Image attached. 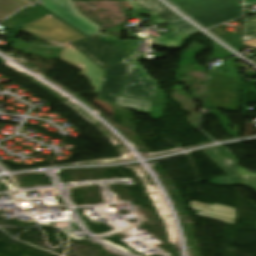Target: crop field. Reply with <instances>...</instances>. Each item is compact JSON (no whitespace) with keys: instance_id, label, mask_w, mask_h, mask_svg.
I'll return each instance as SVG.
<instances>
[{"instance_id":"1","label":"crop field","mask_w":256,"mask_h":256,"mask_svg":"<svg viewBox=\"0 0 256 256\" xmlns=\"http://www.w3.org/2000/svg\"><path fill=\"white\" fill-rule=\"evenodd\" d=\"M238 60H240L238 57L227 60L225 62V69H213H216L219 73H212L213 70L211 71L205 104L213 108L227 134L232 135L234 138L238 137L237 126L231 124L226 115H221L217 109L238 111L240 75L237 74L238 71L235 65V62ZM229 125L234 127V129L231 130Z\"/></svg>"},{"instance_id":"2","label":"crop field","mask_w":256,"mask_h":256,"mask_svg":"<svg viewBox=\"0 0 256 256\" xmlns=\"http://www.w3.org/2000/svg\"><path fill=\"white\" fill-rule=\"evenodd\" d=\"M145 55H155L156 59L165 57L162 53L137 52L118 104L127 109L148 114L151 101L123 97L127 95L152 99L156 80L149 79L148 72L137 62V60L145 59Z\"/></svg>"},{"instance_id":"3","label":"crop field","mask_w":256,"mask_h":256,"mask_svg":"<svg viewBox=\"0 0 256 256\" xmlns=\"http://www.w3.org/2000/svg\"><path fill=\"white\" fill-rule=\"evenodd\" d=\"M206 28L235 19L241 9L232 0H169Z\"/></svg>"},{"instance_id":"4","label":"crop field","mask_w":256,"mask_h":256,"mask_svg":"<svg viewBox=\"0 0 256 256\" xmlns=\"http://www.w3.org/2000/svg\"><path fill=\"white\" fill-rule=\"evenodd\" d=\"M118 40L119 39L111 33L107 32L93 36L90 39L74 43V45L85 52L102 67L107 69L116 49Z\"/></svg>"},{"instance_id":"5","label":"crop field","mask_w":256,"mask_h":256,"mask_svg":"<svg viewBox=\"0 0 256 256\" xmlns=\"http://www.w3.org/2000/svg\"><path fill=\"white\" fill-rule=\"evenodd\" d=\"M140 40L119 41L106 76L127 75Z\"/></svg>"},{"instance_id":"6","label":"crop field","mask_w":256,"mask_h":256,"mask_svg":"<svg viewBox=\"0 0 256 256\" xmlns=\"http://www.w3.org/2000/svg\"><path fill=\"white\" fill-rule=\"evenodd\" d=\"M204 152L210 156L220 167H222L227 173L237 178V161L233 159L229 154L224 152L218 146L204 150ZM231 176V177H232ZM211 184L219 186L236 185L237 180L228 176L209 180Z\"/></svg>"},{"instance_id":"7","label":"crop field","mask_w":256,"mask_h":256,"mask_svg":"<svg viewBox=\"0 0 256 256\" xmlns=\"http://www.w3.org/2000/svg\"><path fill=\"white\" fill-rule=\"evenodd\" d=\"M131 7L140 14H149L159 24L182 19L158 0H128Z\"/></svg>"},{"instance_id":"8","label":"crop field","mask_w":256,"mask_h":256,"mask_svg":"<svg viewBox=\"0 0 256 256\" xmlns=\"http://www.w3.org/2000/svg\"><path fill=\"white\" fill-rule=\"evenodd\" d=\"M190 209L198 212V216L230 223L235 225L236 209L222 205L212 204L207 205L199 202L191 201Z\"/></svg>"},{"instance_id":"9","label":"crop field","mask_w":256,"mask_h":256,"mask_svg":"<svg viewBox=\"0 0 256 256\" xmlns=\"http://www.w3.org/2000/svg\"><path fill=\"white\" fill-rule=\"evenodd\" d=\"M167 26L175 32L160 39L151 41L152 44L159 46H161L162 43L182 45L190 34L199 32V30L185 20L167 24Z\"/></svg>"},{"instance_id":"10","label":"crop field","mask_w":256,"mask_h":256,"mask_svg":"<svg viewBox=\"0 0 256 256\" xmlns=\"http://www.w3.org/2000/svg\"><path fill=\"white\" fill-rule=\"evenodd\" d=\"M125 77L104 78L98 95L107 102L118 103Z\"/></svg>"},{"instance_id":"11","label":"crop field","mask_w":256,"mask_h":256,"mask_svg":"<svg viewBox=\"0 0 256 256\" xmlns=\"http://www.w3.org/2000/svg\"><path fill=\"white\" fill-rule=\"evenodd\" d=\"M238 184L256 190V172L253 174L238 166Z\"/></svg>"},{"instance_id":"12","label":"crop field","mask_w":256,"mask_h":256,"mask_svg":"<svg viewBox=\"0 0 256 256\" xmlns=\"http://www.w3.org/2000/svg\"><path fill=\"white\" fill-rule=\"evenodd\" d=\"M256 38V16L244 18L243 41Z\"/></svg>"},{"instance_id":"13","label":"crop field","mask_w":256,"mask_h":256,"mask_svg":"<svg viewBox=\"0 0 256 256\" xmlns=\"http://www.w3.org/2000/svg\"><path fill=\"white\" fill-rule=\"evenodd\" d=\"M222 55L225 58L234 56V54L228 52L225 48L219 45L217 42L214 41L213 45V56Z\"/></svg>"},{"instance_id":"14","label":"crop field","mask_w":256,"mask_h":256,"mask_svg":"<svg viewBox=\"0 0 256 256\" xmlns=\"http://www.w3.org/2000/svg\"><path fill=\"white\" fill-rule=\"evenodd\" d=\"M244 45H248L256 48V39L243 42Z\"/></svg>"},{"instance_id":"15","label":"crop field","mask_w":256,"mask_h":256,"mask_svg":"<svg viewBox=\"0 0 256 256\" xmlns=\"http://www.w3.org/2000/svg\"><path fill=\"white\" fill-rule=\"evenodd\" d=\"M255 3H256V0H245V6H249Z\"/></svg>"},{"instance_id":"16","label":"crop field","mask_w":256,"mask_h":256,"mask_svg":"<svg viewBox=\"0 0 256 256\" xmlns=\"http://www.w3.org/2000/svg\"><path fill=\"white\" fill-rule=\"evenodd\" d=\"M162 46L170 47V48H176V49H180V47H181V46H177V45H167V44H162Z\"/></svg>"},{"instance_id":"17","label":"crop field","mask_w":256,"mask_h":256,"mask_svg":"<svg viewBox=\"0 0 256 256\" xmlns=\"http://www.w3.org/2000/svg\"><path fill=\"white\" fill-rule=\"evenodd\" d=\"M221 148H223L227 153H229L233 158L237 159L236 156H234L230 151H228L225 147H223L222 145H220Z\"/></svg>"},{"instance_id":"18","label":"crop field","mask_w":256,"mask_h":256,"mask_svg":"<svg viewBox=\"0 0 256 256\" xmlns=\"http://www.w3.org/2000/svg\"><path fill=\"white\" fill-rule=\"evenodd\" d=\"M235 1L238 2L242 6V0H235Z\"/></svg>"}]
</instances>
